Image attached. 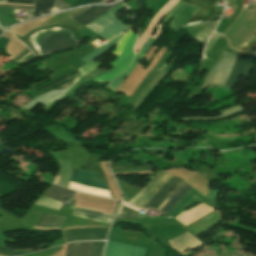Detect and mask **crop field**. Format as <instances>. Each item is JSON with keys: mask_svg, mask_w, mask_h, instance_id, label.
<instances>
[{"mask_svg": "<svg viewBox=\"0 0 256 256\" xmlns=\"http://www.w3.org/2000/svg\"><path fill=\"white\" fill-rule=\"evenodd\" d=\"M171 177L172 175L163 171L157 173L147 187L135 195L129 203L142 208ZM183 181L173 176L143 208H157L162 200Z\"/></svg>", "mask_w": 256, "mask_h": 256, "instance_id": "obj_1", "label": "crop field"}, {"mask_svg": "<svg viewBox=\"0 0 256 256\" xmlns=\"http://www.w3.org/2000/svg\"><path fill=\"white\" fill-rule=\"evenodd\" d=\"M124 7L126 6H124L123 3L120 4L85 27L104 37L107 41L110 40L119 33L132 27L131 25L121 23L113 16Z\"/></svg>", "mask_w": 256, "mask_h": 256, "instance_id": "obj_2", "label": "crop field"}, {"mask_svg": "<svg viewBox=\"0 0 256 256\" xmlns=\"http://www.w3.org/2000/svg\"><path fill=\"white\" fill-rule=\"evenodd\" d=\"M136 37H137V34L134 33L130 37L120 57L110 63L114 68L109 70L107 73L93 79L94 81L96 82L111 81L112 79L116 78L120 73H122L126 68L129 67L134 57V52L132 51V48L135 44Z\"/></svg>", "mask_w": 256, "mask_h": 256, "instance_id": "obj_3", "label": "crop field"}, {"mask_svg": "<svg viewBox=\"0 0 256 256\" xmlns=\"http://www.w3.org/2000/svg\"><path fill=\"white\" fill-rule=\"evenodd\" d=\"M236 51H224L221 53L219 61L213 67L209 77L203 87L222 85L229 75Z\"/></svg>", "mask_w": 256, "mask_h": 256, "instance_id": "obj_4", "label": "crop field"}, {"mask_svg": "<svg viewBox=\"0 0 256 256\" xmlns=\"http://www.w3.org/2000/svg\"><path fill=\"white\" fill-rule=\"evenodd\" d=\"M254 56L255 55L252 54L238 52L235 58L233 69L223 85L234 88L240 75L248 77Z\"/></svg>", "mask_w": 256, "mask_h": 256, "instance_id": "obj_5", "label": "crop field"}, {"mask_svg": "<svg viewBox=\"0 0 256 256\" xmlns=\"http://www.w3.org/2000/svg\"><path fill=\"white\" fill-rule=\"evenodd\" d=\"M202 203V202H201ZM200 203V204H201ZM199 204V205H200ZM198 206V205H197ZM196 206V207H197ZM195 208V207H194ZM193 209V208H192ZM189 209L187 211H184L182 214H180L178 217H176L175 219H179L181 218L184 214H186L187 212H189ZM222 216L220 214V212L217 211H213L187 225H185V227L191 232V234L193 236H199L200 234L204 233L205 231H207L208 229H210L212 226H214L216 223H218L221 220Z\"/></svg>", "mask_w": 256, "mask_h": 256, "instance_id": "obj_6", "label": "crop field"}, {"mask_svg": "<svg viewBox=\"0 0 256 256\" xmlns=\"http://www.w3.org/2000/svg\"><path fill=\"white\" fill-rule=\"evenodd\" d=\"M109 228H79L65 230L67 242L75 240L105 239Z\"/></svg>", "mask_w": 256, "mask_h": 256, "instance_id": "obj_7", "label": "crop field"}, {"mask_svg": "<svg viewBox=\"0 0 256 256\" xmlns=\"http://www.w3.org/2000/svg\"><path fill=\"white\" fill-rule=\"evenodd\" d=\"M91 242L68 244L65 256H87ZM104 242H92L89 256H101Z\"/></svg>", "mask_w": 256, "mask_h": 256, "instance_id": "obj_8", "label": "crop field"}, {"mask_svg": "<svg viewBox=\"0 0 256 256\" xmlns=\"http://www.w3.org/2000/svg\"><path fill=\"white\" fill-rule=\"evenodd\" d=\"M146 249L117 242H107L104 256H143Z\"/></svg>", "mask_w": 256, "mask_h": 256, "instance_id": "obj_9", "label": "crop field"}, {"mask_svg": "<svg viewBox=\"0 0 256 256\" xmlns=\"http://www.w3.org/2000/svg\"><path fill=\"white\" fill-rule=\"evenodd\" d=\"M199 8L194 6H189L181 1L165 16L164 22L174 16V20L171 23V29L174 25L179 22L184 24Z\"/></svg>", "mask_w": 256, "mask_h": 256, "instance_id": "obj_10", "label": "crop field"}, {"mask_svg": "<svg viewBox=\"0 0 256 256\" xmlns=\"http://www.w3.org/2000/svg\"><path fill=\"white\" fill-rule=\"evenodd\" d=\"M70 181L108 190L104 178L96 173L72 170Z\"/></svg>", "mask_w": 256, "mask_h": 256, "instance_id": "obj_11", "label": "crop field"}, {"mask_svg": "<svg viewBox=\"0 0 256 256\" xmlns=\"http://www.w3.org/2000/svg\"><path fill=\"white\" fill-rule=\"evenodd\" d=\"M186 4L201 7L186 23L201 20L207 21L209 16L212 14L211 10L215 0H181ZM184 25H187V24Z\"/></svg>", "mask_w": 256, "mask_h": 256, "instance_id": "obj_12", "label": "crop field"}, {"mask_svg": "<svg viewBox=\"0 0 256 256\" xmlns=\"http://www.w3.org/2000/svg\"><path fill=\"white\" fill-rule=\"evenodd\" d=\"M120 3H122V2H120ZM120 3L114 4L111 6H92L87 11H85L84 13L80 14L75 19H73V21L85 26L88 23L95 20L100 15H102L103 13L109 11L111 8L119 5Z\"/></svg>", "mask_w": 256, "mask_h": 256, "instance_id": "obj_13", "label": "crop field"}, {"mask_svg": "<svg viewBox=\"0 0 256 256\" xmlns=\"http://www.w3.org/2000/svg\"><path fill=\"white\" fill-rule=\"evenodd\" d=\"M170 242L172 246L180 252H184L191 248H198L203 245L199 240H197L187 232L171 240Z\"/></svg>", "mask_w": 256, "mask_h": 256, "instance_id": "obj_14", "label": "crop field"}, {"mask_svg": "<svg viewBox=\"0 0 256 256\" xmlns=\"http://www.w3.org/2000/svg\"><path fill=\"white\" fill-rule=\"evenodd\" d=\"M155 42V40L153 39H149L145 45L143 46V48L141 49V51L135 56L134 62L132 64V66L130 68H128L124 73H122L118 78H116L114 81H111L109 83V85L106 87L108 89H110L111 91L114 92V90L117 88V86L120 84V82L130 73L132 72V70L134 69L136 63L139 61V59L141 57L144 56V54L149 50V48L153 45V43Z\"/></svg>", "mask_w": 256, "mask_h": 256, "instance_id": "obj_15", "label": "crop field"}, {"mask_svg": "<svg viewBox=\"0 0 256 256\" xmlns=\"http://www.w3.org/2000/svg\"><path fill=\"white\" fill-rule=\"evenodd\" d=\"M185 183V182H184ZM183 183V184H184ZM182 184V185H183ZM182 185H180L175 191H173L168 198L173 195ZM192 187H190L188 184H184L172 197H170L160 208L159 210L167 213Z\"/></svg>", "mask_w": 256, "mask_h": 256, "instance_id": "obj_16", "label": "crop field"}, {"mask_svg": "<svg viewBox=\"0 0 256 256\" xmlns=\"http://www.w3.org/2000/svg\"><path fill=\"white\" fill-rule=\"evenodd\" d=\"M73 214L76 216L98 220L102 222H107V223L110 222L113 216V215H109V214H105V213H101V212H97V211H93V210H89V209H85L77 206L74 207Z\"/></svg>", "mask_w": 256, "mask_h": 256, "instance_id": "obj_17", "label": "crop field"}, {"mask_svg": "<svg viewBox=\"0 0 256 256\" xmlns=\"http://www.w3.org/2000/svg\"><path fill=\"white\" fill-rule=\"evenodd\" d=\"M74 194L75 191L52 184L43 194V196L64 202L66 198L70 199L74 196Z\"/></svg>", "mask_w": 256, "mask_h": 256, "instance_id": "obj_18", "label": "crop field"}, {"mask_svg": "<svg viewBox=\"0 0 256 256\" xmlns=\"http://www.w3.org/2000/svg\"><path fill=\"white\" fill-rule=\"evenodd\" d=\"M123 33L118 35L117 37H115L110 42H108L105 45L93 50L91 53H89L88 55H86V56H84L80 59H82L86 63L95 60L96 58H98L99 56L104 54L106 51H108L111 47H113L117 43V41L122 37Z\"/></svg>", "mask_w": 256, "mask_h": 256, "instance_id": "obj_19", "label": "crop field"}, {"mask_svg": "<svg viewBox=\"0 0 256 256\" xmlns=\"http://www.w3.org/2000/svg\"><path fill=\"white\" fill-rule=\"evenodd\" d=\"M65 218L41 214L35 225L60 228Z\"/></svg>", "mask_w": 256, "mask_h": 256, "instance_id": "obj_20", "label": "crop field"}, {"mask_svg": "<svg viewBox=\"0 0 256 256\" xmlns=\"http://www.w3.org/2000/svg\"><path fill=\"white\" fill-rule=\"evenodd\" d=\"M54 0H36L34 11L30 18L38 17L51 12Z\"/></svg>", "mask_w": 256, "mask_h": 256, "instance_id": "obj_21", "label": "crop field"}, {"mask_svg": "<svg viewBox=\"0 0 256 256\" xmlns=\"http://www.w3.org/2000/svg\"><path fill=\"white\" fill-rule=\"evenodd\" d=\"M216 24L217 22L205 23L194 36V38L203 43H206Z\"/></svg>", "mask_w": 256, "mask_h": 256, "instance_id": "obj_22", "label": "crop field"}, {"mask_svg": "<svg viewBox=\"0 0 256 256\" xmlns=\"http://www.w3.org/2000/svg\"><path fill=\"white\" fill-rule=\"evenodd\" d=\"M139 209L122 204L116 217L136 220Z\"/></svg>", "mask_w": 256, "mask_h": 256, "instance_id": "obj_23", "label": "crop field"}, {"mask_svg": "<svg viewBox=\"0 0 256 256\" xmlns=\"http://www.w3.org/2000/svg\"><path fill=\"white\" fill-rule=\"evenodd\" d=\"M255 48H256V34L248 42L244 43V45L241 47L240 51L245 52V53H253Z\"/></svg>", "mask_w": 256, "mask_h": 256, "instance_id": "obj_24", "label": "crop field"}, {"mask_svg": "<svg viewBox=\"0 0 256 256\" xmlns=\"http://www.w3.org/2000/svg\"><path fill=\"white\" fill-rule=\"evenodd\" d=\"M79 77V73L78 74H75V75H73V76H71V77H69L68 79H66V80H64V81H62V82H60V83H58V84H56V85H54V86H52V87H49V88H47V89H44V90H52V89H54V88H57V87H59V86H62V85H64V84H66V83H68V82H70V81H72V80H74V79H76V78H78Z\"/></svg>", "mask_w": 256, "mask_h": 256, "instance_id": "obj_25", "label": "crop field"}, {"mask_svg": "<svg viewBox=\"0 0 256 256\" xmlns=\"http://www.w3.org/2000/svg\"><path fill=\"white\" fill-rule=\"evenodd\" d=\"M0 254L7 255V256H13V255H20L23 254L22 252L14 251L7 248L0 247Z\"/></svg>", "mask_w": 256, "mask_h": 256, "instance_id": "obj_26", "label": "crop field"}, {"mask_svg": "<svg viewBox=\"0 0 256 256\" xmlns=\"http://www.w3.org/2000/svg\"><path fill=\"white\" fill-rule=\"evenodd\" d=\"M221 35L220 34H217V33H213L209 43L207 44L206 46V49H205V55L206 53L209 51V49L213 46V44L218 40V38L220 37Z\"/></svg>", "mask_w": 256, "mask_h": 256, "instance_id": "obj_27", "label": "crop field"}, {"mask_svg": "<svg viewBox=\"0 0 256 256\" xmlns=\"http://www.w3.org/2000/svg\"><path fill=\"white\" fill-rule=\"evenodd\" d=\"M69 5L65 4L62 0H55L53 11H58L67 8Z\"/></svg>", "mask_w": 256, "mask_h": 256, "instance_id": "obj_28", "label": "crop field"}, {"mask_svg": "<svg viewBox=\"0 0 256 256\" xmlns=\"http://www.w3.org/2000/svg\"><path fill=\"white\" fill-rule=\"evenodd\" d=\"M66 78H68V77H67L66 75H64V76H62V77H60V78H58V79H56V80H54V81H52V82H50V83H48V84H45V85L40 86V87H37V88H35L34 90L37 91V90H40V89H43V88L52 86V85H54V84H56V83H58V82H60V81H62V80H64V79H66Z\"/></svg>", "mask_w": 256, "mask_h": 256, "instance_id": "obj_29", "label": "crop field"}, {"mask_svg": "<svg viewBox=\"0 0 256 256\" xmlns=\"http://www.w3.org/2000/svg\"><path fill=\"white\" fill-rule=\"evenodd\" d=\"M106 71L107 70H105V69L100 70V69L97 68V69L93 70L92 72H90L89 74H87L85 76H87L88 78L92 79V78H94V77H96V76H98V75H100V74H102V73H104Z\"/></svg>", "mask_w": 256, "mask_h": 256, "instance_id": "obj_30", "label": "crop field"}, {"mask_svg": "<svg viewBox=\"0 0 256 256\" xmlns=\"http://www.w3.org/2000/svg\"><path fill=\"white\" fill-rule=\"evenodd\" d=\"M35 0H6V2L12 3H27V4H34Z\"/></svg>", "mask_w": 256, "mask_h": 256, "instance_id": "obj_31", "label": "crop field"}, {"mask_svg": "<svg viewBox=\"0 0 256 256\" xmlns=\"http://www.w3.org/2000/svg\"><path fill=\"white\" fill-rule=\"evenodd\" d=\"M8 42H9V39L1 37L0 38V49L6 48Z\"/></svg>", "mask_w": 256, "mask_h": 256, "instance_id": "obj_32", "label": "crop field"}, {"mask_svg": "<svg viewBox=\"0 0 256 256\" xmlns=\"http://www.w3.org/2000/svg\"><path fill=\"white\" fill-rule=\"evenodd\" d=\"M80 1V0H79ZM91 0H81L80 2H78L77 4H75V5H71L72 7H70V8H73V7H77V6H81V5H84V4H86V3H88V2H90ZM69 8V7H68Z\"/></svg>", "mask_w": 256, "mask_h": 256, "instance_id": "obj_33", "label": "crop field"}, {"mask_svg": "<svg viewBox=\"0 0 256 256\" xmlns=\"http://www.w3.org/2000/svg\"><path fill=\"white\" fill-rule=\"evenodd\" d=\"M87 8H89V7H85V8H83V9L79 10L78 12H76L75 14H73L72 16H70L71 19L74 18V17H76L77 15H79L80 13H82L83 11H85Z\"/></svg>", "mask_w": 256, "mask_h": 256, "instance_id": "obj_34", "label": "crop field"}, {"mask_svg": "<svg viewBox=\"0 0 256 256\" xmlns=\"http://www.w3.org/2000/svg\"><path fill=\"white\" fill-rule=\"evenodd\" d=\"M76 80H77V79H76ZM76 80H74V81H72V82H70V83H68V84H66V85H64V86H62V87H60V88H58V89H55V90L65 89V88H67L68 86H70L71 84H73L74 82H76Z\"/></svg>", "mask_w": 256, "mask_h": 256, "instance_id": "obj_35", "label": "crop field"}, {"mask_svg": "<svg viewBox=\"0 0 256 256\" xmlns=\"http://www.w3.org/2000/svg\"><path fill=\"white\" fill-rule=\"evenodd\" d=\"M29 52H30L29 50L27 52H25L22 56H20L17 60H15V62L18 61L20 58H22L23 56H25Z\"/></svg>", "mask_w": 256, "mask_h": 256, "instance_id": "obj_36", "label": "crop field"}, {"mask_svg": "<svg viewBox=\"0 0 256 256\" xmlns=\"http://www.w3.org/2000/svg\"><path fill=\"white\" fill-rule=\"evenodd\" d=\"M26 50H27V47H26L16 58H18V57H19L22 53H24ZM16 58H15V59H16ZM15 59H14V60H15Z\"/></svg>", "mask_w": 256, "mask_h": 256, "instance_id": "obj_37", "label": "crop field"}, {"mask_svg": "<svg viewBox=\"0 0 256 256\" xmlns=\"http://www.w3.org/2000/svg\"><path fill=\"white\" fill-rule=\"evenodd\" d=\"M58 178H59V176H56L53 182L57 184Z\"/></svg>", "mask_w": 256, "mask_h": 256, "instance_id": "obj_38", "label": "crop field"}, {"mask_svg": "<svg viewBox=\"0 0 256 256\" xmlns=\"http://www.w3.org/2000/svg\"><path fill=\"white\" fill-rule=\"evenodd\" d=\"M32 59H33V58L27 60L26 62L22 63L20 66H22V65H24V64H26V63H28V62H30Z\"/></svg>", "mask_w": 256, "mask_h": 256, "instance_id": "obj_39", "label": "crop field"}, {"mask_svg": "<svg viewBox=\"0 0 256 256\" xmlns=\"http://www.w3.org/2000/svg\"><path fill=\"white\" fill-rule=\"evenodd\" d=\"M32 56H34L33 54L32 55H30L29 57H27L26 59H24L22 62H24V61H26L27 59H29L30 57H32ZM22 62H20V63H22ZM19 63V64H20ZM18 65V64H17Z\"/></svg>", "mask_w": 256, "mask_h": 256, "instance_id": "obj_40", "label": "crop field"}, {"mask_svg": "<svg viewBox=\"0 0 256 256\" xmlns=\"http://www.w3.org/2000/svg\"><path fill=\"white\" fill-rule=\"evenodd\" d=\"M97 0H93L91 3H94V2H96ZM90 4V3H89Z\"/></svg>", "mask_w": 256, "mask_h": 256, "instance_id": "obj_41", "label": "crop field"}, {"mask_svg": "<svg viewBox=\"0 0 256 256\" xmlns=\"http://www.w3.org/2000/svg\"><path fill=\"white\" fill-rule=\"evenodd\" d=\"M254 53H256V50H255V52Z\"/></svg>", "mask_w": 256, "mask_h": 256, "instance_id": "obj_42", "label": "crop field"}, {"mask_svg": "<svg viewBox=\"0 0 256 256\" xmlns=\"http://www.w3.org/2000/svg\"><path fill=\"white\" fill-rule=\"evenodd\" d=\"M1 28V27H0Z\"/></svg>", "mask_w": 256, "mask_h": 256, "instance_id": "obj_43", "label": "crop field"}]
</instances>
